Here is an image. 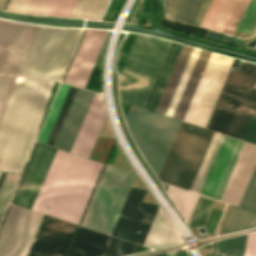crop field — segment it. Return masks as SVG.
I'll return each mask as SVG.
<instances>
[{"mask_svg":"<svg viewBox=\"0 0 256 256\" xmlns=\"http://www.w3.org/2000/svg\"><path fill=\"white\" fill-rule=\"evenodd\" d=\"M109 0H78L70 17L99 20Z\"/></svg>","mask_w":256,"mask_h":256,"instance_id":"crop-field-23","label":"crop field"},{"mask_svg":"<svg viewBox=\"0 0 256 256\" xmlns=\"http://www.w3.org/2000/svg\"><path fill=\"white\" fill-rule=\"evenodd\" d=\"M10 77L0 76V104Z\"/></svg>","mask_w":256,"mask_h":256,"instance_id":"crop-field-37","label":"crop field"},{"mask_svg":"<svg viewBox=\"0 0 256 256\" xmlns=\"http://www.w3.org/2000/svg\"><path fill=\"white\" fill-rule=\"evenodd\" d=\"M136 246V244L111 237L103 256H120L133 253Z\"/></svg>","mask_w":256,"mask_h":256,"instance_id":"crop-field-29","label":"crop field"},{"mask_svg":"<svg viewBox=\"0 0 256 256\" xmlns=\"http://www.w3.org/2000/svg\"><path fill=\"white\" fill-rule=\"evenodd\" d=\"M16 79L17 78H14V77L10 78L7 90L5 92V95H4V98H3V101H2V104H1V107H0V125L2 123V120H3V117H4V114H5V111H6L11 93L13 91V88H14V85H15V82H16Z\"/></svg>","mask_w":256,"mask_h":256,"instance_id":"crop-field-32","label":"crop field"},{"mask_svg":"<svg viewBox=\"0 0 256 256\" xmlns=\"http://www.w3.org/2000/svg\"><path fill=\"white\" fill-rule=\"evenodd\" d=\"M255 20H256V0H250V3L236 30L249 33ZM255 31H256V22L250 33L254 34Z\"/></svg>","mask_w":256,"mask_h":256,"instance_id":"crop-field-30","label":"crop field"},{"mask_svg":"<svg viewBox=\"0 0 256 256\" xmlns=\"http://www.w3.org/2000/svg\"><path fill=\"white\" fill-rule=\"evenodd\" d=\"M182 256H188L185 250L183 251Z\"/></svg>","mask_w":256,"mask_h":256,"instance_id":"crop-field-41","label":"crop field"},{"mask_svg":"<svg viewBox=\"0 0 256 256\" xmlns=\"http://www.w3.org/2000/svg\"><path fill=\"white\" fill-rule=\"evenodd\" d=\"M80 32L42 26L21 76L60 81Z\"/></svg>","mask_w":256,"mask_h":256,"instance_id":"crop-field-9","label":"crop field"},{"mask_svg":"<svg viewBox=\"0 0 256 256\" xmlns=\"http://www.w3.org/2000/svg\"><path fill=\"white\" fill-rule=\"evenodd\" d=\"M246 237L247 234L218 241L215 256H243Z\"/></svg>","mask_w":256,"mask_h":256,"instance_id":"crop-field-26","label":"crop field"},{"mask_svg":"<svg viewBox=\"0 0 256 256\" xmlns=\"http://www.w3.org/2000/svg\"><path fill=\"white\" fill-rule=\"evenodd\" d=\"M249 0H213L201 27L233 34Z\"/></svg>","mask_w":256,"mask_h":256,"instance_id":"crop-field-15","label":"crop field"},{"mask_svg":"<svg viewBox=\"0 0 256 256\" xmlns=\"http://www.w3.org/2000/svg\"><path fill=\"white\" fill-rule=\"evenodd\" d=\"M239 206L256 212V168Z\"/></svg>","mask_w":256,"mask_h":256,"instance_id":"crop-field-31","label":"crop field"},{"mask_svg":"<svg viewBox=\"0 0 256 256\" xmlns=\"http://www.w3.org/2000/svg\"><path fill=\"white\" fill-rule=\"evenodd\" d=\"M76 89L61 83L37 141L53 145Z\"/></svg>","mask_w":256,"mask_h":256,"instance_id":"crop-field-20","label":"crop field"},{"mask_svg":"<svg viewBox=\"0 0 256 256\" xmlns=\"http://www.w3.org/2000/svg\"><path fill=\"white\" fill-rule=\"evenodd\" d=\"M29 0H10L5 11L23 13Z\"/></svg>","mask_w":256,"mask_h":256,"instance_id":"crop-field-35","label":"crop field"},{"mask_svg":"<svg viewBox=\"0 0 256 256\" xmlns=\"http://www.w3.org/2000/svg\"><path fill=\"white\" fill-rule=\"evenodd\" d=\"M93 95V93L77 89L54 147L70 151Z\"/></svg>","mask_w":256,"mask_h":256,"instance_id":"crop-field-18","label":"crop field"},{"mask_svg":"<svg viewBox=\"0 0 256 256\" xmlns=\"http://www.w3.org/2000/svg\"><path fill=\"white\" fill-rule=\"evenodd\" d=\"M221 136L213 133L191 191L198 192ZM243 143V141L222 136L198 193L221 199Z\"/></svg>","mask_w":256,"mask_h":256,"instance_id":"crop-field-10","label":"crop field"},{"mask_svg":"<svg viewBox=\"0 0 256 256\" xmlns=\"http://www.w3.org/2000/svg\"><path fill=\"white\" fill-rule=\"evenodd\" d=\"M200 0H164L167 18L189 23Z\"/></svg>","mask_w":256,"mask_h":256,"instance_id":"crop-field-21","label":"crop field"},{"mask_svg":"<svg viewBox=\"0 0 256 256\" xmlns=\"http://www.w3.org/2000/svg\"><path fill=\"white\" fill-rule=\"evenodd\" d=\"M233 60L232 58L218 56L190 122L191 124L206 127Z\"/></svg>","mask_w":256,"mask_h":256,"instance_id":"crop-field-14","label":"crop field"},{"mask_svg":"<svg viewBox=\"0 0 256 256\" xmlns=\"http://www.w3.org/2000/svg\"><path fill=\"white\" fill-rule=\"evenodd\" d=\"M75 227L45 215L27 256H63ZM109 238L79 226L67 256H102Z\"/></svg>","mask_w":256,"mask_h":256,"instance_id":"crop-field-8","label":"crop field"},{"mask_svg":"<svg viewBox=\"0 0 256 256\" xmlns=\"http://www.w3.org/2000/svg\"><path fill=\"white\" fill-rule=\"evenodd\" d=\"M77 0H49L42 15L69 17Z\"/></svg>","mask_w":256,"mask_h":256,"instance_id":"crop-field-27","label":"crop field"},{"mask_svg":"<svg viewBox=\"0 0 256 256\" xmlns=\"http://www.w3.org/2000/svg\"><path fill=\"white\" fill-rule=\"evenodd\" d=\"M255 225L256 213L233 206L221 234L245 229Z\"/></svg>","mask_w":256,"mask_h":256,"instance_id":"crop-field-22","label":"crop field"},{"mask_svg":"<svg viewBox=\"0 0 256 256\" xmlns=\"http://www.w3.org/2000/svg\"><path fill=\"white\" fill-rule=\"evenodd\" d=\"M244 256H256V232L248 234Z\"/></svg>","mask_w":256,"mask_h":256,"instance_id":"crop-field-36","label":"crop field"},{"mask_svg":"<svg viewBox=\"0 0 256 256\" xmlns=\"http://www.w3.org/2000/svg\"><path fill=\"white\" fill-rule=\"evenodd\" d=\"M135 176L106 165L81 225L110 235ZM145 192L131 188L112 236L141 243L157 207L141 202Z\"/></svg>","mask_w":256,"mask_h":256,"instance_id":"crop-field-2","label":"crop field"},{"mask_svg":"<svg viewBox=\"0 0 256 256\" xmlns=\"http://www.w3.org/2000/svg\"><path fill=\"white\" fill-rule=\"evenodd\" d=\"M182 46L183 45H181V44H177V43L175 44V46L173 48V51H172V53L170 55V58H169V60H168V62L166 64V67H165V69L163 71V74H162V76L160 78V81H159V83L157 85V88H156V90H155V92L153 94V97H152V99L150 101V104H149L147 109L153 110V111L155 110V108L157 106V103H158V101L160 99V96H161L163 90H164V87H165V85L167 83V80H168V78L170 76V73H171V71L173 69V66H174V64H175V62L177 60V57H178V55L180 53V50H181Z\"/></svg>","mask_w":256,"mask_h":256,"instance_id":"crop-field-25","label":"crop field"},{"mask_svg":"<svg viewBox=\"0 0 256 256\" xmlns=\"http://www.w3.org/2000/svg\"><path fill=\"white\" fill-rule=\"evenodd\" d=\"M163 254L153 255V256H162Z\"/></svg>","mask_w":256,"mask_h":256,"instance_id":"crop-field-42","label":"crop field"},{"mask_svg":"<svg viewBox=\"0 0 256 256\" xmlns=\"http://www.w3.org/2000/svg\"><path fill=\"white\" fill-rule=\"evenodd\" d=\"M105 117L102 96L95 94L70 151L71 153L89 157Z\"/></svg>","mask_w":256,"mask_h":256,"instance_id":"crop-field-17","label":"crop field"},{"mask_svg":"<svg viewBox=\"0 0 256 256\" xmlns=\"http://www.w3.org/2000/svg\"><path fill=\"white\" fill-rule=\"evenodd\" d=\"M43 216L12 205L0 232V256H26Z\"/></svg>","mask_w":256,"mask_h":256,"instance_id":"crop-field-11","label":"crop field"},{"mask_svg":"<svg viewBox=\"0 0 256 256\" xmlns=\"http://www.w3.org/2000/svg\"><path fill=\"white\" fill-rule=\"evenodd\" d=\"M7 0H0V10L3 9L5 3H6Z\"/></svg>","mask_w":256,"mask_h":256,"instance_id":"crop-field-39","label":"crop field"},{"mask_svg":"<svg viewBox=\"0 0 256 256\" xmlns=\"http://www.w3.org/2000/svg\"><path fill=\"white\" fill-rule=\"evenodd\" d=\"M1 174V173H0Z\"/></svg>","mask_w":256,"mask_h":256,"instance_id":"crop-field-43","label":"crop field"},{"mask_svg":"<svg viewBox=\"0 0 256 256\" xmlns=\"http://www.w3.org/2000/svg\"><path fill=\"white\" fill-rule=\"evenodd\" d=\"M256 165V145L244 143L222 201L239 205Z\"/></svg>","mask_w":256,"mask_h":256,"instance_id":"crop-field-16","label":"crop field"},{"mask_svg":"<svg viewBox=\"0 0 256 256\" xmlns=\"http://www.w3.org/2000/svg\"><path fill=\"white\" fill-rule=\"evenodd\" d=\"M53 83L17 79L0 128V171L21 172Z\"/></svg>","mask_w":256,"mask_h":256,"instance_id":"crop-field-3","label":"crop field"},{"mask_svg":"<svg viewBox=\"0 0 256 256\" xmlns=\"http://www.w3.org/2000/svg\"><path fill=\"white\" fill-rule=\"evenodd\" d=\"M41 26L22 23L1 70L20 76Z\"/></svg>","mask_w":256,"mask_h":256,"instance_id":"crop-field-19","label":"crop field"},{"mask_svg":"<svg viewBox=\"0 0 256 256\" xmlns=\"http://www.w3.org/2000/svg\"><path fill=\"white\" fill-rule=\"evenodd\" d=\"M102 166L58 150L32 209L78 224Z\"/></svg>","mask_w":256,"mask_h":256,"instance_id":"crop-field-4","label":"crop field"},{"mask_svg":"<svg viewBox=\"0 0 256 256\" xmlns=\"http://www.w3.org/2000/svg\"><path fill=\"white\" fill-rule=\"evenodd\" d=\"M21 23L0 20V70ZM4 66V65H3ZM1 73V72H0Z\"/></svg>","mask_w":256,"mask_h":256,"instance_id":"crop-field-24","label":"crop field"},{"mask_svg":"<svg viewBox=\"0 0 256 256\" xmlns=\"http://www.w3.org/2000/svg\"><path fill=\"white\" fill-rule=\"evenodd\" d=\"M173 42L137 35L120 76V100L146 107Z\"/></svg>","mask_w":256,"mask_h":256,"instance_id":"crop-field-6","label":"crop field"},{"mask_svg":"<svg viewBox=\"0 0 256 256\" xmlns=\"http://www.w3.org/2000/svg\"><path fill=\"white\" fill-rule=\"evenodd\" d=\"M183 250L180 251H174V252H168L165 254V256H181Z\"/></svg>","mask_w":256,"mask_h":256,"instance_id":"crop-field-38","label":"crop field"},{"mask_svg":"<svg viewBox=\"0 0 256 256\" xmlns=\"http://www.w3.org/2000/svg\"><path fill=\"white\" fill-rule=\"evenodd\" d=\"M125 120L139 150L158 176L181 122L132 105ZM211 133L182 122L159 180L187 189Z\"/></svg>","mask_w":256,"mask_h":256,"instance_id":"crop-field-1","label":"crop field"},{"mask_svg":"<svg viewBox=\"0 0 256 256\" xmlns=\"http://www.w3.org/2000/svg\"><path fill=\"white\" fill-rule=\"evenodd\" d=\"M48 0H30L26 10L24 13L33 14V15H41Z\"/></svg>","mask_w":256,"mask_h":256,"instance_id":"crop-field-33","label":"crop field"},{"mask_svg":"<svg viewBox=\"0 0 256 256\" xmlns=\"http://www.w3.org/2000/svg\"><path fill=\"white\" fill-rule=\"evenodd\" d=\"M186 47L187 46H183V48H182V50H181V53H180V55H179V57H178V60H177V62H176V64H175V66H174V69H173V71H172V73H171V76H170V78H169V80H168V83H167V85H166V87H165V90H164V92H163V94H162V96H161V99H160V101H159V103H158V106H157V108H156V112H159V110H160V108H161V105H162V103H163V101H164V98H165V96H166V94H167V91H168V89H169V87H170V84H171V82H172V79H173V77H174V75H175V72H176V70H177V68H178V65H179V63H180V61H181V58H182V56H183V54H184V51H185V49H186Z\"/></svg>","mask_w":256,"mask_h":256,"instance_id":"crop-field-34","label":"crop field"},{"mask_svg":"<svg viewBox=\"0 0 256 256\" xmlns=\"http://www.w3.org/2000/svg\"><path fill=\"white\" fill-rule=\"evenodd\" d=\"M20 174H7L0 189V220L9 202Z\"/></svg>","mask_w":256,"mask_h":256,"instance_id":"crop-field-28","label":"crop field"},{"mask_svg":"<svg viewBox=\"0 0 256 256\" xmlns=\"http://www.w3.org/2000/svg\"><path fill=\"white\" fill-rule=\"evenodd\" d=\"M217 56L188 46L159 113L189 123Z\"/></svg>","mask_w":256,"mask_h":256,"instance_id":"crop-field-7","label":"crop field"},{"mask_svg":"<svg viewBox=\"0 0 256 256\" xmlns=\"http://www.w3.org/2000/svg\"><path fill=\"white\" fill-rule=\"evenodd\" d=\"M5 175L6 174L2 173L1 176H0V186H1L2 182H3V179H4Z\"/></svg>","mask_w":256,"mask_h":256,"instance_id":"crop-field-40","label":"crop field"},{"mask_svg":"<svg viewBox=\"0 0 256 256\" xmlns=\"http://www.w3.org/2000/svg\"><path fill=\"white\" fill-rule=\"evenodd\" d=\"M107 31L86 29L65 83L84 87ZM85 88V87H84Z\"/></svg>","mask_w":256,"mask_h":256,"instance_id":"crop-field-13","label":"crop field"},{"mask_svg":"<svg viewBox=\"0 0 256 256\" xmlns=\"http://www.w3.org/2000/svg\"><path fill=\"white\" fill-rule=\"evenodd\" d=\"M255 102L256 65L243 62L232 71L208 128L240 139ZM241 139L256 144V105Z\"/></svg>","mask_w":256,"mask_h":256,"instance_id":"crop-field-5","label":"crop field"},{"mask_svg":"<svg viewBox=\"0 0 256 256\" xmlns=\"http://www.w3.org/2000/svg\"><path fill=\"white\" fill-rule=\"evenodd\" d=\"M56 151V149L37 144L13 204L32 208Z\"/></svg>","mask_w":256,"mask_h":256,"instance_id":"crop-field-12","label":"crop field"}]
</instances>
